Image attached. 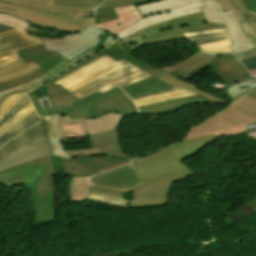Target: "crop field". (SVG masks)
<instances>
[{"label":"crop field","mask_w":256,"mask_h":256,"mask_svg":"<svg viewBox=\"0 0 256 256\" xmlns=\"http://www.w3.org/2000/svg\"><path fill=\"white\" fill-rule=\"evenodd\" d=\"M254 88H256V79L251 78V79H247L241 83H238L236 85L228 87L226 92L232 97V100L234 101L240 95H242Z\"/></svg>","instance_id":"crop-field-32"},{"label":"crop field","mask_w":256,"mask_h":256,"mask_svg":"<svg viewBox=\"0 0 256 256\" xmlns=\"http://www.w3.org/2000/svg\"><path fill=\"white\" fill-rule=\"evenodd\" d=\"M32 195L36 215V225L56 220L54 192L55 185L52 175L38 177L34 183L25 184Z\"/></svg>","instance_id":"crop-field-12"},{"label":"crop field","mask_w":256,"mask_h":256,"mask_svg":"<svg viewBox=\"0 0 256 256\" xmlns=\"http://www.w3.org/2000/svg\"><path fill=\"white\" fill-rule=\"evenodd\" d=\"M49 123V138L53 146V156L60 158H85L90 156H103L107 155L115 158H128L120 154H93L92 149L81 150V151H68L64 152L63 146L61 143V133L60 126L72 125V124H81L84 123L83 120L71 122L64 116H56L48 119Z\"/></svg>","instance_id":"crop-field-16"},{"label":"crop field","mask_w":256,"mask_h":256,"mask_svg":"<svg viewBox=\"0 0 256 256\" xmlns=\"http://www.w3.org/2000/svg\"><path fill=\"white\" fill-rule=\"evenodd\" d=\"M243 1L251 11L256 13V4L253 0H243Z\"/></svg>","instance_id":"crop-field-55"},{"label":"crop field","mask_w":256,"mask_h":256,"mask_svg":"<svg viewBox=\"0 0 256 256\" xmlns=\"http://www.w3.org/2000/svg\"><path fill=\"white\" fill-rule=\"evenodd\" d=\"M129 162H130V161H129ZM129 162H127V163H129ZM127 163H122V164H120V165H117V166H114V167H111V168H108V169H112V168H115V167H118V166H121V165H124V164H127ZM108 169L101 170V173L104 172V171H106V170H108Z\"/></svg>","instance_id":"crop-field-60"},{"label":"crop field","mask_w":256,"mask_h":256,"mask_svg":"<svg viewBox=\"0 0 256 256\" xmlns=\"http://www.w3.org/2000/svg\"><path fill=\"white\" fill-rule=\"evenodd\" d=\"M50 156L30 161L0 173V181L8 187L34 182L38 176L56 174V170L49 163Z\"/></svg>","instance_id":"crop-field-15"},{"label":"crop field","mask_w":256,"mask_h":256,"mask_svg":"<svg viewBox=\"0 0 256 256\" xmlns=\"http://www.w3.org/2000/svg\"><path fill=\"white\" fill-rule=\"evenodd\" d=\"M204 4L201 0H158L136 5L144 17L122 30L118 35L125 37L142 28L194 12H199Z\"/></svg>","instance_id":"crop-field-10"},{"label":"crop field","mask_w":256,"mask_h":256,"mask_svg":"<svg viewBox=\"0 0 256 256\" xmlns=\"http://www.w3.org/2000/svg\"><path fill=\"white\" fill-rule=\"evenodd\" d=\"M206 7L201 8L206 22L224 23L225 29L233 43L230 49L234 54L255 48L253 43L246 39L238 20L232 10L224 12L217 0H202Z\"/></svg>","instance_id":"crop-field-11"},{"label":"crop field","mask_w":256,"mask_h":256,"mask_svg":"<svg viewBox=\"0 0 256 256\" xmlns=\"http://www.w3.org/2000/svg\"><path fill=\"white\" fill-rule=\"evenodd\" d=\"M208 67H211L214 73L220 76L228 85H231L251 76L246 72L245 68L241 65V63L235 58L233 54L218 56L212 61L192 70L188 74L177 70L170 73L169 75L177 78H181L184 76L191 77L194 74Z\"/></svg>","instance_id":"crop-field-14"},{"label":"crop field","mask_w":256,"mask_h":256,"mask_svg":"<svg viewBox=\"0 0 256 256\" xmlns=\"http://www.w3.org/2000/svg\"><path fill=\"white\" fill-rule=\"evenodd\" d=\"M194 175L189 169L181 172H177L168 176L157 177L131 186L125 190L100 186L96 184H89L88 190L110 194L124 198V193H135V199L130 202V208L152 207L166 205L168 202V196L172 185L182 179L188 178Z\"/></svg>","instance_id":"crop-field-7"},{"label":"crop field","mask_w":256,"mask_h":256,"mask_svg":"<svg viewBox=\"0 0 256 256\" xmlns=\"http://www.w3.org/2000/svg\"><path fill=\"white\" fill-rule=\"evenodd\" d=\"M38 120H40L36 114L35 111L23 118L20 122H18L15 126L7 130L3 135L0 136V147L4 145L6 142L11 140L12 138L16 137L26 129H28L30 126H32L34 123H36Z\"/></svg>","instance_id":"crop-field-27"},{"label":"crop field","mask_w":256,"mask_h":256,"mask_svg":"<svg viewBox=\"0 0 256 256\" xmlns=\"http://www.w3.org/2000/svg\"><path fill=\"white\" fill-rule=\"evenodd\" d=\"M175 89H179V88L173 87V88H168V89L157 91V92H152V93H147V94L139 95V96H136V97H132V100L133 99H137V98H141V97H145V96H150V95H154V94H158V93H163V92L175 90Z\"/></svg>","instance_id":"crop-field-53"},{"label":"crop field","mask_w":256,"mask_h":256,"mask_svg":"<svg viewBox=\"0 0 256 256\" xmlns=\"http://www.w3.org/2000/svg\"><path fill=\"white\" fill-rule=\"evenodd\" d=\"M184 35L197 46L229 39L224 28L185 32Z\"/></svg>","instance_id":"crop-field-25"},{"label":"crop field","mask_w":256,"mask_h":256,"mask_svg":"<svg viewBox=\"0 0 256 256\" xmlns=\"http://www.w3.org/2000/svg\"><path fill=\"white\" fill-rule=\"evenodd\" d=\"M90 182L121 189L138 183L130 164L94 176Z\"/></svg>","instance_id":"crop-field-21"},{"label":"crop field","mask_w":256,"mask_h":256,"mask_svg":"<svg viewBox=\"0 0 256 256\" xmlns=\"http://www.w3.org/2000/svg\"><path fill=\"white\" fill-rule=\"evenodd\" d=\"M30 101L26 95L21 97L17 103L12 107L11 111L0 121V127L9 121L14 115H16L21 109H23Z\"/></svg>","instance_id":"crop-field-38"},{"label":"crop field","mask_w":256,"mask_h":256,"mask_svg":"<svg viewBox=\"0 0 256 256\" xmlns=\"http://www.w3.org/2000/svg\"><path fill=\"white\" fill-rule=\"evenodd\" d=\"M150 77L139 68L129 64L123 68L113 71L107 75L97 78L73 91L71 93L78 99L98 90L106 91L116 85L120 87L132 82Z\"/></svg>","instance_id":"crop-field-13"},{"label":"crop field","mask_w":256,"mask_h":256,"mask_svg":"<svg viewBox=\"0 0 256 256\" xmlns=\"http://www.w3.org/2000/svg\"><path fill=\"white\" fill-rule=\"evenodd\" d=\"M242 17L249 26V28L252 30L254 35L256 36V23L248 16V14L242 15Z\"/></svg>","instance_id":"crop-field-50"},{"label":"crop field","mask_w":256,"mask_h":256,"mask_svg":"<svg viewBox=\"0 0 256 256\" xmlns=\"http://www.w3.org/2000/svg\"><path fill=\"white\" fill-rule=\"evenodd\" d=\"M244 96L256 99V90L249 92V93L245 94Z\"/></svg>","instance_id":"crop-field-59"},{"label":"crop field","mask_w":256,"mask_h":256,"mask_svg":"<svg viewBox=\"0 0 256 256\" xmlns=\"http://www.w3.org/2000/svg\"><path fill=\"white\" fill-rule=\"evenodd\" d=\"M246 24H245V22H242L241 26H242L249 42L252 41L256 46V37L253 35V33L250 31V29L248 28V26Z\"/></svg>","instance_id":"crop-field-49"},{"label":"crop field","mask_w":256,"mask_h":256,"mask_svg":"<svg viewBox=\"0 0 256 256\" xmlns=\"http://www.w3.org/2000/svg\"><path fill=\"white\" fill-rule=\"evenodd\" d=\"M194 97H201V96H199V95H194V96H187V97H181V98L170 99V100H166V101H162V102H158V103H153V104H148V105H144V106H139L138 109L144 108V107H148V106H151V105L160 104V103L172 102V101L182 100V99H189V98H194Z\"/></svg>","instance_id":"crop-field-51"},{"label":"crop field","mask_w":256,"mask_h":256,"mask_svg":"<svg viewBox=\"0 0 256 256\" xmlns=\"http://www.w3.org/2000/svg\"><path fill=\"white\" fill-rule=\"evenodd\" d=\"M62 140L87 137L85 125H73L61 127Z\"/></svg>","instance_id":"crop-field-34"},{"label":"crop field","mask_w":256,"mask_h":256,"mask_svg":"<svg viewBox=\"0 0 256 256\" xmlns=\"http://www.w3.org/2000/svg\"><path fill=\"white\" fill-rule=\"evenodd\" d=\"M130 159H114L106 156L90 157L85 159H61L65 174L85 177L99 174V170L105 169Z\"/></svg>","instance_id":"crop-field-17"},{"label":"crop field","mask_w":256,"mask_h":256,"mask_svg":"<svg viewBox=\"0 0 256 256\" xmlns=\"http://www.w3.org/2000/svg\"><path fill=\"white\" fill-rule=\"evenodd\" d=\"M254 55H256V48L240 54H236L239 60L250 57V56H254Z\"/></svg>","instance_id":"crop-field-52"},{"label":"crop field","mask_w":256,"mask_h":256,"mask_svg":"<svg viewBox=\"0 0 256 256\" xmlns=\"http://www.w3.org/2000/svg\"><path fill=\"white\" fill-rule=\"evenodd\" d=\"M252 139L256 142V136H254Z\"/></svg>","instance_id":"crop-field-62"},{"label":"crop field","mask_w":256,"mask_h":256,"mask_svg":"<svg viewBox=\"0 0 256 256\" xmlns=\"http://www.w3.org/2000/svg\"><path fill=\"white\" fill-rule=\"evenodd\" d=\"M122 114L110 112L103 114L95 119L85 120L88 133H97L116 128Z\"/></svg>","instance_id":"crop-field-26"},{"label":"crop field","mask_w":256,"mask_h":256,"mask_svg":"<svg viewBox=\"0 0 256 256\" xmlns=\"http://www.w3.org/2000/svg\"><path fill=\"white\" fill-rule=\"evenodd\" d=\"M127 64H129V63L122 59V60H120V61H118V62H116V63H114V64H112V65H110V66H108V67H106V68H104V69H102V70H100V71H98V72H96V73H94V74L84 78V79H82L81 81L75 83L74 85L68 87L67 89L70 91V90H72V89H74V88H76V87H78V86H80L82 84H85V83L93 80V78L100 77V76H102V75H104L106 73H109V72H111L113 70H116V69H118V68H120L122 66H125Z\"/></svg>","instance_id":"crop-field-33"},{"label":"crop field","mask_w":256,"mask_h":256,"mask_svg":"<svg viewBox=\"0 0 256 256\" xmlns=\"http://www.w3.org/2000/svg\"><path fill=\"white\" fill-rule=\"evenodd\" d=\"M248 71L256 69V56L241 60Z\"/></svg>","instance_id":"crop-field-48"},{"label":"crop field","mask_w":256,"mask_h":256,"mask_svg":"<svg viewBox=\"0 0 256 256\" xmlns=\"http://www.w3.org/2000/svg\"><path fill=\"white\" fill-rule=\"evenodd\" d=\"M116 62L115 60L111 59L110 57H106L102 59L101 61L81 70L80 72L74 74L73 76L69 77L68 79L64 80L63 82L59 83L65 88L72 85L73 83L81 80L82 78ZM67 89V88H66Z\"/></svg>","instance_id":"crop-field-28"},{"label":"crop field","mask_w":256,"mask_h":256,"mask_svg":"<svg viewBox=\"0 0 256 256\" xmlns=\"http://www.w3.org/2000/svg\"><path fill=\"white\" fill-rule=\"evenodd\" d=\"M94 153H121L124 154L118 143L115 130L89 136Z\"/></svg>","instance_id":"crop-field-22"},{"label":"crop field","mask_w":256,"mask_h":256,"mask_svg":"<svg viewBox=\"0 0 256 256\" xmlns=\"http://www.w3.org/2000/svg\"><path fill=\"white\" fill-rule=\"evenodd\" d=\"M12 29H16V28L0 24V32L12 30Z\"/></svg>","instance_id":"crop-field-58"},{"label":"crop field","mask_w":256,"mask_h":256,"mask_svg":"<svg viewBox=\"0 0 256 256\" xmlns=\"http://www.w3.org/2000/svg\"><path fill=\"white\" fill-rule=\"evenodd\" d=\"M256 122V100L242 96L233 104L222 109L187 131L183 140L216 134L239 135L244 125Z\"/></svg>","instance_id":"crop-field-5"},{"label":"crop field","mask_w":256,"mask_h":256,"mask_svg":"<svg viewBox=\"0 0 256 256\" xmlns=\"http://www.w3.org/2000/svg\"><path fill=\"white\" fill-rule=\"evenodd\" d=\"M0 22L18 27L22 30H24V28L30 24L26 21L20 20L14 16L6 15V14H0Z\"/></svg>","instance_id":"crop-field-41"},{"label":"crop field","mask_w":256,"mask_h":256,"mask_svg":"<svg viewBox=\"0 0 256 256\" xmlns=\"http://www.w3.org/2000/svg\"><path fill=\"white\" fill-rule=\"evenodd\" d=\"M94 13H95V25L119 18L116 8L96 9Z\"/></svg>","instance_id":"crop-field-35"},{"label":"crop field","mask_w":256,"mask_h":256,"mask_svg":"<svg viewBox=\"0 0 256 256\" xmlns=\"http://www.w3.org/2000/svg\"><path fill=\"white\" fill-rule=\"evenodd\" d=\"M148 1L150 0H105L98 8L123 7Z\"/></svg>","instance_id":"crop-field-39"},{"label":"crop field","mask_w":256,"mask_h":256,"mask_svg":"<svg viewBox=\"0 0 256 256\" xmlns=\"http://www.w3.org/2000/svg\"><path fill=\"white\" fill-rule=\"evenodd\" d=\"M120 19L98 25L99 27L117 34L122 29L143 18L137 11L135 5L117 8Z\"/></svg>","instance_id":"crop-field-23"},{"label":"crop field","mask_w":256,"mask_h":256,"mask_svg":"<svg viewBox=\"0 0 256 256\" xmlns=\"http://www.w3.org/2000/svg\"><path fill=\"white\" fill-rule=\"evenodd\" d=\"M135 49H132L127 41L123 39H118L115 43H113L109 48L99 52V54H106L115 60L125 59L131 64L139 67L144 70L152 77L132 83L122 89L130 96H135L147 92L157 91L164 88L178 86L188 91L195 92L215 103H226L227 101L222 100L220 98L214 97L204 91L196 89L197 86L174 78L172 76L167 75L169 72L180 69L186 73L190 72L195 67L215 58L216 56L205 54L198 52L195 55L188 57L172 66L166 67L162 70H159L135 57L131 54Z\"/></svg>","instance_id":"crop-field-1"},{"label":"crop field","mask_w":256,"mask_h":256,"mask_svg":"<svg viewBox=\"0 0 256 256\" xmlns=\"http://www.w3.org/2000/svg\"><path fill=\"white\" fill-rule=\"evenodd\" d=\"M40 68L35 62L25 65L21 58L0 65V82L22 77Z\"/></svg>","instance_id":"crop-field-24"},{"label":"crop field","mask_w":256,"mask_h":256,"mask_svg":"<svg viewBox=\"0 0 256 256\" xmlns=\"http://www.w3.org/2000/svg\"><path fill=\"white\" fill-rule=\"evenodd\" d=\"M14 93H16V92H14ZM12 94H13V93H12ZM10 95H11V94H10ZM8 96H9V95H8ZM6 97H7V96H6ZM6 97H5V98H6ZM5 98H3V99L0 101V103H1Z\"/></svg>","instance_id":"crop-field-61"},{"label":"crop field","mask_w":256,"mask_h":256,"mask_svg":"<svg viewBox=\"0 0 256 256\" xmlns=\"http://www.w3.org/2000/svg\"><path fill=\"white\" fill-rule=\"evenodd\" d=\"M32 111H34V109H33L32 105L30 103L22 111H20L15 117H13L9 122H7L5 125H3L0 128V135L3 134L7 129H9L13 125H15L18 121H20L23 117H25L26 115H28Z\"/></svg>","instance_id":"crop-field-40"},{"label":"crop field","mask_w":256,"mask_h":256,"mask_svg":"<svg viewBox=\"0 0 256 256\" xmlns=\"http://www.w3.org/2000/svg\"><path fill=\"white\" fill-rule=\"evenodd\" d=\"M187 95H194V93L180 89V90H176V91H171V92H167V93H163V94H158V95H154V96H150V97L137 99V100H134V102H135L136 106H139V105L153 103V102H157V101H161V100H165V99H169V98L187 96Z\"/></svg>","instance_id":"crop-field-31"},{"label":"crop field","mask_w":256,"mask_h":256,"mask_svg":"<svg viewBox=\"0 0 256 256\" xmlns=\"http://www.w3.org/2000/svg\"><path fill=\"white\" fill-rule=\"evenodd\" d=\"M113 40L114 35L91 26L83 32L68 34L60 40L42 41L49 50L58 53L74 64L108 46Z\"/></svg>","instance_id":"crop-field-9"},{"label":"crop field","mask_w":256,"mask_h":256,"mask_svg":"<svg viewBox=\"0 0 256 256\" xmlns=\"http://www.w3.org/2000/svg\"><path fill=\"white\" fill-rule=\"evenodd\" d=\"M52 153L47 137L23 148L0 162V172Z\"/></svg>","instance_id":"crop-field-20"},{"label":"crop field","mask_w":256,"mask_h":256,"mask_svg":"<svg viewBox=\"0 0 256 256\" xmlns=\"http://www.w3.org/2000/svg\"><path fill=\"white\" fill-rule=\"evenodd\" d=\"M104 57H106V56H105V55H101V56L98 57L97 59H95V60H93V61H91V62L85 64L84 66H82V67H80V68H78V69H76V70L70 72L69 74L63 76L62 78L58 79V80H57L56 82H54V83L58 84L59 82H61V81H63L64 79L68 78L69 76L73 75L74 73L80 71L81 69L87 67L88 65H90V64H92V63H94V62H96V61H98V60H100V59H102V58H104Z\"/></svg>","instance_id":"crop-field-47"},{"label":"crop field","mask_w":256,"mask_h":256,"mask_svg":"<svg viewBox=\"0 0 256 256\" xmlns=\"http://www.w3.org/2000/svg\"><path fill=\"white\" fill-rule=\"evenodd\" d=\"M190 103H212L204 98H195L190 100H183V101H177L173 103H166V104H160L157 106H152L144 109H140L139 111L149 114H155V113H161V112H168L173 111L175 109H178L182 107L183 105L190 104Z\"/></svg>","instance_id":"crop-field-29"},{"label":"crop field","mask_w":256,"mask_h":256,"mask_svg":"<svg viewBox=\"0 0 256 256\" xmlns=\"http://www.w3.org/2000/svg\"><path fill=\"white\" fill-rule=\"evenodd\" d=\"M25 30L28 32H33V33H41V34H46V35H51V36H58L57 34L41 31V30L29 27V26L27 28H25Z\"/></svg>","instance_id":"crop-field-54"},{"label":"crop field","mask_w":256,"mask_h":256,"mask_svg":"<svg viewBox=\"0 0 256 256\" xmlns=\"http://www.w3.org/2000/svg\"><path fill=\"white\" fill-rule=\"evenodd\" d=\"M256 73H254L253 75H255Z\"/></svg>","instance_id":"crop-field-63"},{"label":"crop field","mask_w":256,"mask_h":256,"mask_svg":"<svg viewBox=\"0 0 256 256\" xmlns=\"http://www.w3.org/2000/svg\"><path fill=\"white\" fill-rule=\"evenodd\" d=\"M90 177L72 178L69 186L70 201L83 202Z\"/></svg>","instance_id":"crop-field-30"},{"label":"crop field","mask_w":256,"mask_h":256,"mask_svg":"<svg viewBox=\"0 0 256 256\" xmlns=\"http://www.w3.org/2000/svg\"><path fill=\"white\" fill-rule=\"evenodd\" d=\"M228 46H231L229 40L224 41V42L213 43V44L201 46V47H199V49L202 51L211 52V53H215V54H224V53L231 52V50L229 49Z\"/></svg>","instance_id":"crop-field-37"},{"label":"crop field","mask_w":256,"mask_h":256,"mask_svg":"<svg viewBox=\"0 0 256 256\" xmlns=\"http://www.w3.org/2000/svg\"><path fill=\"white\" fill-rule=\"evenodd\" d=\"M26 92H21L17 94H13L6 98L0 105V119L6 114V112L12 107V105L16 102V100L25 94Z\"/></svg>","instance_id":"crop-field-42"},{"label":"crop field","mask_w":256,"mask_h":256,"mask_svg":"<svg viewBox=\"0 0 256 256\" xmlns=\"http://www.w3.org/2000/svg\"><path fill=\"white\" fill-rule=\"evenodd\" d=\"M17 53L26 64L35 61L42 68L25 77L0 83V100L13 91L31 90L73 65L58 54L47 51L44 45L31 47Z\"/></svg>","instance_id":"crop-field-6"},{"label":"crop field","mask_w":256,"mask_h":256,"mask_svg":"<svg viewBox=\"0 0 256 256\" xmlns=\"http://www.w3.org/2000/svg\"><path fill=\"white\" fill-rule=\"evenodd\" d=\"M246 204L250 206L256 213V196L252 200L246 202Z\"/></svg>","instance_id":"crop-field-56"},{"label":"crop field","mask_w":256,"mask_h":256,"mask_svg":"<svg viewBox=\"0 0 256 256\" xmlns=\"http://www.w3.org/2000/svg\"><path fill=\"white\" fill-rule=\"evenodd\" d=\"M99 54H95L84 61L80 62L71 69L61 73L53 80L44 84V89L48 95V98L53 107L48 109H43L35 98L33 92L28 93L30 100L32 101L39 117H47L51 115L66 114L69 119H81L92 116L100 115L106 111H117L123 113L137 112V109L133 102L128 98V96L120 89L113 92L89 105L84 107L80 106L74 108L71 103L77 101L69 92H67L60 85H53L52 82L67 74L68 72L78 68L79 66L97 58ZM69 74V73H68ZM70 96V98H69Z\"/></svg>","instance_id":"crop-field-2"},{"label":"crop field","mask_w":256,"mask_h":256,"mask_svg":"<svg viewBox=\"0 0 256 256\" xmlns=\"http://www.w3.org/2000/svg\"><path fill=\"white\" fill-rule=\"evenodd\" d=\"M167 23V25H165ZM224 27L223 24L206 23L201 12L178 17L143 30L137 31L127 37L129 42L135 41L140 46L184 39L182 32ZM136 47V45L134 46Z\"/></svg>","instance_id":"crop-field-8"},{"label":"crop field","mask_w":256,"mask_h":256,"mask_svg":"<svg viewBox=\"0 0 256 256\" xmlns=\"http://www.w3.org/2000/svg\"><path fill=\"white\" fill-rule=\"evenodd\" d=\"M222 8L224 11L226 10H230V9H233L237 19L239 20V22H242L243 19L241 17V15L239 14V12L237 11V9H234L233 6L231 5L230 1L229 0H219ZM245 21V20H244Z\"/></svg>","instance_id":"crop-field-46"},{"label":"crop field","mask_w":256,"mask_h":256,"mask_svg":"<svg viewBox=\"0 0 256 256\" xmlns=\"http://www.w3.org/2000/svg\"><path fill=\"white\" fill-rule=\"evenodd\" d=\"M216 138V135H212L171 142L153 153L131 158V165L139 181L185 170L187 167L180 160L195 154L207 143L215 141Z\"/></svg>","instance_id":"crop-field-4"},{"label":"crop field","mask_w":256,"mask_h":256,"mask_svg":"<svg viewBox=\"0 0 256 256\" xmlns=\"http://www.w3.org/2000/svg\"><path fill=\"white\" fill-rule=\"evenodd\" d=\"M88 200H91V201H98V202H103V203H106V204H110V205H116V206H125V207H127V205H128V203L130 202V201H128V200H126V202H125V204L124 205H120V204H114V203H109V202H104V201H99V200H94V199H89V198H87Z\"/></svg>","instance_id":"crop-field-57"},{"label":"crop field","mask_w":256,"mask_h":256,"mask_svg":"<svg viewBox=\"0 0 256 256\" xmlns=\"http://www.w3.org/2000/svg\"><path fill=\"white\" fill-rule=\"evenodd\" d=\"M117 89H119V88L115 87V88H113L111 90H108L106 92H103V93H99V92L94 93V94H92V95H90L88 97H85V98H83V99L73 103V105H74V107H77V106H80V105L84 106V105H86V104H88V103H90V102H92V101H94V100H96V99H98V98H100V97L110 93V92H113V91H115Z\"/></svg>","instance_id":"crop-field-43"},{"label":"crop field","mask_w":256,"mask_h":256,"mask_svg":"<svg viewBox=\"0 0 256 256\" xmlns=\"http://www.w3.org/2000/svg\"><path fill=\"white\" fill-rule=\"evenodd\" d=\"M87 197L104 200V201H109V202H114V203H120V204H124V202H125V199L117 198V197L110 196V195L93 193V192H89V191L87 193Z\"/></svg>","instance_id":"crop-field-44"},{"label":"crop field","mask_w":256,"mask_h":256,"mask_svg":"<svg viewBox=\"0 0 256 256\" xmlns=\"http://www.w3.org/2000/svg\"><path fill=\"white\" fill-rule=\"evenodd\" d=\"M103 0H55L53 4L70 7H94L98 6Z\"/></svg>","instance_id":"crop-field-36"},{"label":"crop field","mask_w":256,"mask_h":256,"mask_svg":"<svg viewBox=\"0 0 256 256\" xmlns=\"http://www.w3.org/2000/svg\"><path fill=\"white\" fill-rule=\"evenodd\" d=\"M234 8H237L240 14L248 13L250 17L256 22V15L249 12L247 6L243 3L242 0H230ZM256 2V0H254Z\"/></svg>","instance_id":"crop-field-45"},{"label":"crop field","mask_w":256,"mask_h":256,"mask_svg":"<svg viewBox=\"0 0 256 256\" xmlns=\"http://www.w3.org/2000/svg\"><path fill=\"white\" fill-rule=\"evenodd\" d=\"M47 136L46 118L41 119L28 130L12 139L0 148V161L9 155L17 152L23 147Z\"/></svg>","instance_id":"crop-field-19"},{"label":"crop field","mask_w":256,"mask_h":256,"mask_svg":"<svg viewBox=\"0 0 256 256\" xmlns=\"http://www.w3.org/2000/svg\"><path fill=\"white\" fill-rule=\"evenodd\" d=\"M39 39L28 37L21 30L0 33V64L19 58L15 51L41 45Z\"/></svg>","instance_id":"crop-field-18"},{"label":"crop field","mask_w":256,"mask_h":256,"mask_svg":"<svg viewBox=\"0 0 256 256\" xmlns=\"http://www.w3.org/2000/svg\"><path fill=\"white\" fill-rule=\"evenodd\" d=\"M54 0H0V13L14 15L41 26L76 32L92 25L94 8L53 5Z\"/></svg>","instance_id":"crop-field-3"}]
</instances>
